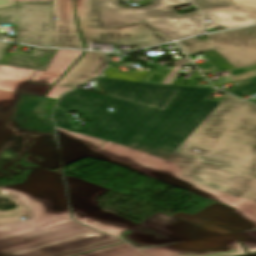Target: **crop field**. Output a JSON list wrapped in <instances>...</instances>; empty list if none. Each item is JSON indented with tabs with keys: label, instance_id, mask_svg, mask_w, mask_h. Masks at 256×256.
Returning <instances> with one entry per match:
<instances>
[{
	"label": "crop field",
	"instance_id": "39",
	"mask_svg": "<svg viewBox=\"0 0 256 256\" xmlns=\"http://www.w3.org/2000/svg\"><path fill=\"white\" fill-rule=\"evenodd\" d=\"M10 44L0 42V61L2 60L3 55L6 53Z\"/></svg>",
	"mask_w": 256,
	"mask_h": 256
},
{
	"label": "crop field",
	"instance_id": "1",
	"mask_svg": "<svg viewBox=\"0 0 256 256\" xmlns=\"http://www.w3.org/2000/svg\"><path fill=\"white\" fill-rule=\"evenodd\" d=\"M97 82L106 95L77 89L57 103L92 122L77 129L56 108V127L108 141L91 158L233 207L256 224V178L241 173L256 176V106L227 94L209 100L216 89L105 77Z\"/></svg>",
	"mask_w": 256,
	"mask_h": 256
},
{
	"label": "crop field",
	"instance_id": "33",
	"mask_svg": "<svg viewBox=\"0 0 256 256\" xmlns=\"http://www.w3.org/2000/svg\"><path fill=\"white\" fill-rule=\"evenodd\" d=\"M236 235L249 251V253H256V231L236 233Z\"/></svg>",
	"mask_w": 256,
	"mask_h": 256
},
{
	"label": "crop field",
	"instance_id": "5",
	"mask_svg": "<svg viewBox=\"0 0 256 256\" xmlns=\"http://www.w3.org/2000/svg\"><path fill=\"white\" fill-rule=\"evenodd\" d=\"M118 4V0L100 3L105 28L176 15L178 13L173 8L190 3L187 0H152L151 5L141 8L120 7Z\"/></svg>",
	"mask_w": 256,
	"mask_h": 256
},
{
	"label": "crop field",
	"instance_id": "6",
	"mask_svg": "<svg viewBox=\"0 0 256 256\" xmlns=\"http://www.w3.org/2000/svg\"><path fill=\"white\" fill-rule=\"evenodd\" d=\"M145 22L107 29H81V31L85 41L117 43V45L138 48L169 41Z\"/></svg>",
	"mask_w": 256,
	"mask_h": 256
},
{
	"label": "crop field",
	"instance_id": "41",
	"mask_svg": "<svg viewBox=\"0 0 256 256\" xmlns=\"http://www.w3.org/2000/svg\"><path fill=\"white\" fill-rule=\"evenodd\" d=\"M102 1H108V0H100V2H102Z\"/></svg>",
	"mask_w": 256,
	"mask_h": 256
},
{
	"label": "crop field",
	"instance_id": "24",
	"mask_svg": "<svg viewBox=\"0 0 256 256\" xmlns=\"http://www.w3.org/2000/svg\"><path fill=\"white\" fill-rule=\"evenodd\" d=\"M78 256H145L141 252L135 250L128 243L115 245L101 250L89 252Z\"/></svg>",
	"mask_w": 256,
	"mask_h": 256
},
{
	"label": "crop field",
	"instance_id": "20",
	"mask_svg": "<svg viewBox=\"0 0 256 256\" xmlns=\"http://www.w3.org/2000/svg\"><path fill=\"white\" fill-rule=\"evenodd\" d=\"M80 28H104L99 0H75Z\"/></svg>",
	"mask_w": 256,
	"mask_h": 256
},
{
	"label": "crop field",
	"instance_id": "9",
	"mask_svg": "<svg viewBox=\"0 0 256 256\" xmlns=\"http://www.w3.org/2000/svg\"><path fill=\"white\" fill-rule=\"evenodd\" d=\"M53 47L85 49L75 21L73 0H54Z\"/></svg>",
	"mask_w": 256,
	"mask_h": 256
},
{
	"label": "crop field",
	"instance_id": "18",
	"mask_svg": "<svg viewBox=\"0 0 256 256\" xmlns=\"http://www.w3.org/2000/svg\"><path fill=\"white\" fill-rule=\"evenodd\" d=\"M195 215L209 219L232 232L256 229V225L241 212L219 203Z\"/></svg>",
	"mask_w": 256,
	"mask_h": 256
},
{
	"label": "crop field",
	"instance_id": "11",
	"mask_svg": "<svg viewBox=\"0 0 256 256\" xmlns=\"http://www.w3.org/2000/svg\"><path fill=\"white\" fill-rule=\"evenodd\" d=\"M35 70L0 65V90L45 96L51 86L28 82Z\"/></svg>",
	"mask_w": 256,
	"mask_h": 256
},
{
	"label": "crop field",
	"instance_id": "34",
	"mask_svg": "<svg viewBox=\"0 0 256 256\" xmlns=\"http://www.w3.org/2000/svg\"><path fill=\"white\" fill-rule=\"evenodd\" d=\"M252 82L242 85L240 87L228 90L227 92L235 94L237 96L239 95H247L253 92H256V77L250 78ZM256 104V100L253 102Z\"/></svg>",
	"mask_w": 256,
	"mask_h": 256
},
{
	"label": "crop field",
	"instance_id": "8",
	"mask_svg": "<svg viewBox=\"0 0 256 256\" xmlns=\"http://www.w3.org/2000/svg\"><path fill=\"white\" fill-rule=\"evenodd\" d=\"M73 219L83 222L100 211L96 197L110 189L66 176Z\"/></svg>",
	"mask_w": 256,
	"mask_h": 256
},
{
	"label": "crop field",
	"instance_id": "23",
	"mask_svg": "<svg viewBox=\"0 0 256 256\" xmlns=\"http://www.w3.org/2000/svg\"><path fill=\"white\" fill-rule=\"evenodd\" d=\"M28 151L48 157L55 161L52 163L53 167L60 168L55 137L40 135Z\"/></svg>",
	"mask_w": 256,
	"mask_h": 256
},
{
	"label": "crop field",
	"instance_id": "21",
	"mask_svg": "<svg viewBox=\"0 0 256 256\" xmlns=\"http://www.w3.org/2000/svg\"><path fill=\"white\" fill-rule=\"evenodd\" d=\"M83 224L104 231L106 233L112 234L114 236L123 232L127 228L135 225L134 223L128 220L122 219L120 217L114 216L103 211L88 219Z\"/></svg>",
	"mask_w": 256,
	"mask_h": 256
},
{
	"label": "crop field",
	"instance_id": "27",
	"mask_svg": "<svg viewBox=\"0 0 256 256\" xmlns=\"http://www.w3.org/2000/svg\"><path fill=\"white\" fill-rule=\"evenodd\" d=\"M128 230L133 231L135 233H138L140 235H143L147 238H150V239L155 240L157 242H160L162 244L182 241L178 238H175V237H172L170 235L161 233L159 231L153 230L151 228L145 227V226L140 225V224H137V225L129 228Z\"/></svg>",
	"mask_w": 256,
	"mask_h": 256
},
{
	"label": "crop field",
	"instance_id": "13",
	"mask_svg": "<svg viewBox=\"0 0 256 256\" xmlns=\"http://www.w3.org/2000/svg\"><path fill=\"white\" fill-rule=\"evenodd\" d=\"M206 29L223 26L225 29L256 23V12L238 6L201 11ZM206 20H211L207 24Z\"/></svg>",
	"mask_w": 256,
	"mask_h": 256
},
{
	"label": "crop field",
	"instance_id": "37",
	"mask_svg": "<svg viewBox=\"0 0 256 256\" xmlns=\"http://www.w3.org/2000/svg\"><path fill=\"white\" fill-rule=\"evenodd\" d=\"M14 131V130H13ZM12 132L10 129H4L0 128V145L3 143V141L9 136V134Z\"/></svg>",
	"mask_w": 256,
	"mask_h": 256
},
{
	"label": "crop field",
	"instance_id": "7",
	"mask_svg": "<svg viewBox=\"0 0 256 256\" xmlns=\"http://www.w3.org/2000/svg\"><path fill=\"white\" fill-rule=\"evenodd\" d=\"M54 102L48 98L22 95L11 120L16 129L54 134L52 122L47 121Z\"/></svg>",
	"mask_w": 256,
	"mask_h": 256
},
{
	"label": "crop field",
	"instance_id": "29",
	"mask_svg": "<svg viewBox=\"0 0 256 256\" xmlns=\"http://www.w3.org/2000/svg\"><path fill=\"white\" fill-rule=\"evenodd\" d=\"M117 237L130 242L133 246L137 248H145L149 246L160 245V243L147 239L128 230L119 234Z\"/></svg>",
	"mask_w": 256,
	"mask_h": 256
},
{
	"label": "crop field",
	"instance_id": "32",
	"mask_svg": "<svg viewBox=\"0 0 256 256\" xmlns=\"http://www.w3.org/2000/svg\"><path fill=\"white\" fill-rule=\"evenodd\" d=\"M200 10L234 5L232 0H192Z\"/></svg>",
	"mask_w": 256,
	"mask_h": 256
},
{
	"label": "crop field",
	"instance_id": "12",
	"mask_svg": "<svg viewBox=\"0 0 256 256\" xmlns=\"http://www.w3.org/2000/svg\"><path fill=\"white\" fill-rule=\"evenodd\" d=\"M197 11L146 21L159 32L174 40L202 33L199 17H192Z\"/></svg>",
	"mask_w": 256,
	"mask_h": 256
},
{
	"label": "crop field",
	"instance_id": "26",
	"mask_svg": "<svg viewBox=\"0 0 256 256\" xmlns=\"http://www.w3.org/2000/svg\"><path fill=\"white\" fill-rule=\"evenodd\" d=\"M21 94L0 91V126L4 127Z\"/></svg>",
	"mask_w": 256,
	"mask_h": 256
},
{
	"label": "crop field",
	"instance_id": "42",
	"mask_svg": "<svg viewBox=\"0 0 256 256\" xmlns=\"http://www.w3.org/2000/svg\"><path fill=\"white\" fill-rule=\"evenodd\" d=\"M25 217V216H24ZM26 218V217H25ZM65 221H69V220H65Z\"/></svg>",
	"mask_w": 256,
	"mask_h": 256
},
{
	"label": "crop field",
	"instance_id": "17",
	"mask_svg": "<svg viewBox=\"0 0 256 256\" xmlns=\"http://www.w3.org/2000/svg\"><path fill=\"white\" fill-rule=\"evenodd\" d=\"M115 239L98 231L80 235L56 243L48 244L31 250L23 251L9 256H51L84 246Z\"/></svg>",
	"mask_w": 256,
	"mask_h": 256
},
{
	"label": "crop field",
	"instance_id": "3",
	"mask_svg": "<svg viewBox=\"0 0 256 256\" xmlns=\"http://www.w3.org/2000/svg\"><path fill=\"white\" fill-rule=\"evenodd\" d=\"M206 37L177 43L187 55L215 50L235 68L256 64V26Z\"/></svg>",
	"mask_w": 256,
	"mask_h": 256
},
{
	"label": "crop field",
	"instance_id": "36",
	"mask_svg": "<svg viewBox=\"0 0 256 256\" xmlns=\"http://www.w3.org/2000/svg\"><path fill=\"white\" fill-rule=\"evenodd\" d=\"M235 5L256 11V0H233Z\"/></svg>",
	"mask_w": 256,
	"mask_h": 256
},
{
	"label": "crop field",
	"instance_id": "4",
	"mask_svg": "<svg viewBox=\"0 0 256 256\" xmlns=\"http://www.w3.org/2000/svg\"><path fill=\"white\" fill-rule=\"evenodd\" d=\"M0 9V23L17 26V42L52 47L53 2L17 3ZM7 15H11L7 18ZM3 40V37L0 36Z\"/></svg>",
	"mask_w": 256,
	"mask_h": 256
},
{
	"label": "crop field",
	"instance_id": "16",
	"mask_svg": "<svg viewBox=\"0 0 256 256\" xmlns=\"http://www.w3.org/2000/svg\"><path fill=\"white\" fill-rule=\"evenodd\" d=\"M140 224L162 231L183 240L216 235L215 233L183 223L159 212L142 221Z\"/></svg>",
	"mask_w": 256,
	"mask_h": 256
},
{
	"label": "crop field",
	"instance_id": "19",
	"mask_svg": "<svg viewBox=\"0 0 256 256\" xmlns=\"http://www.w3.org/2000/svg\"><path fill=\"white\" fill-rule=\"evenodd\" d=\"M82 52L58 50L45 71L36 70L30 81L53 85Z\"/></svg>",
	"mask_w": 256,
	"mask_h": 256
},
{
	"label": "crop field",
	"instance_id": "38",
	"mask_svg": "<svg viewBox=\"0 0 256 256\" xmlns=\"http://www.w3.org/2000/svg\"><path fill=\"white\" fill-rule=\"evenodd\" d=\"M17 5L14 0H0V8Z\"/></svg>",
	"mask_w": 256,
	"mask_h": 256
},
{
	"label": "crop field",
	"instance_id": "2",
	"mask_svg": "<svg viewBox=\"0 0 256 256\" xmlns=\"http://www.w3.org/2000/svg\"><path fill=\"white\" fill-rule=\"evenodd\" d=\"M4 189L7 194L1 192ZM0 198L13 201L15 210L0 211V256H6L80 234L95 231L70 219L61 174L33 167L22 184L0 187Z\"/></svg>",
	"mask_w": 256,
	"mask_h": 256
},
{
	"label": "crop field",
	"instance_id": "35",
	"mask_svg": "<svg viewBox=\"0 0 256 256\" xmlns=\"http://www.w3.org/2000/svg\"><path fill=\"white\" fill-rule=\"evenodd\" d=\"M69 90H71V89L70 88L54 86L51 89V91L49 92V94L47 95V97L48 98L58 99L60 95L68 92Z\"/></svg>",
	"mask_w": 256,
	"mask_h": 256
},
{
	"label": "crop field",
	"instance_id": "31",
	"mask_svg": "<svg viewBox=\"0 0 256 256\" xmlns=\"http://www.w3.org/2000/svg\"><path fill=\"white\" fill-rule=\"evenodd\" d=\"M204 54L211 61V63L216 67L218 71H224V70H229L234 68L215 51L206 52ZM218 71H215V72H218Z\"/></svg>",
	"mask_w": 256,
	"mask_h": 256
},
{
	"label": "crop field",
	"instance_id": "40",
	"mask_svg": "<svg viewBox=\"0 0 256 256\" xmlns=\"http://www.w3.org/2000/svg\"><path fill=\"white\" fill-rule=\"evenodd\" d=\"M34 1H53V0H15V2H34Z\"/></svg>",
	"mask_w": 256,
	"mask_h": 256
},
{
	"label": "crop field",
	"instance_id": "14",
	"mask_svg": "<svg viewBox=\"0 0 256 256\" xmlns=\"http://www.w3.org/2000/svg\"><path fill=\"white\" fill-rule=\"evenodd\" d=\"M57 130L64 166L87 156L105 142L67 130Z\"/></svg>",
	"mask_w": 256,
	"mask_h": 256
},
{
	"label": "crop field",
	"instance_id": "30",
	"mask_svg": "<svg viewBox=\"0 0 256 256\" xmlns=\"http://www.w3.org/2000/svg\"><path fill=\"white\" fill-rule=\"evenodd\" d=\"M119 243H123V242L118 240V239H115V240L103 242V243H100V244L84 247V248H81V249L69 251V252L54 255V256H73V255L89 252V251H92V250L108 247V246L119 244Z\"/></svg>",
	"mask_w": 256,
	"mask_h": 256
},
{
	"label": "crop field",
	"instance_id": "28",
	"mask_svg": "<svg viewBox=\"0 0 256 256\" xmlns=\"http://www.w3.org/2000/svg\"><path fill=\"white\" fill-rule=\"evenodd\" d=\"M176 218H179L183 221H186V222H189L191 224H194V225H197V226H200L202 228H205L207 230H210V231H213V232H216V233H219V234H223V233H229L228 231L204 220V219H201V218H198V217H195V216H191V215H188V214H185V213H182V212H178L174 215H172Z\"/></svg>",
	"mask_w": 256,
	"mask_h": 256
},
{
	"label": "crop field",
	"instance_id": "22",
	"mask_svg": "<svg viewBox=\"0 0 256 256\" xmlns=\"http://www.w3.org/2000/svg\"><path fill=\"white\" fill-rule=\"evenodd\" d=\"M57 50L32 49L30 55H14L9 65L45 70Z\"/></svg>",
	"mask_w": 256,
	"mask_h": 256
},
{
	"label": "crop field",
	"instance_id": "15",
	"mask_svg": "<svg viewBox=\"0 0 256 256\" xmlns=\"http://www.w3.org/2000/svg\"><path fill=\"white\" fill-rule=\"evenodd\" d=\"M183 244L195 256H233L246 254L233 234Z\"/></svg>",
	"mask_w": 256,
	"mask_h": 256
},
{
	"label": "crop field",
	"instance_id": "10",
	"mask_svg": "<svg viewBox=\"0 0 256 256\" xmlns=\"http://www.w3.org/2000/svg\"><path fill=\"white\" fill-rule=\"evenodd\" d=\"M105 67L104 53L86 52L56 85L75 88L100 75Z\"/></svg>",
	"mask_w": 256,
	"mask_h": 256
},
{
	"label": "crop field",
	"instance_id": "25",
	"mask_svg": "<svg viewBox=\"0 0 256 256\" xmlns=\"http://www.w3.org/2000/svg\"><path fill=\"white\" fill-rule=\"evenodd\" d=\"M148 256H194L182 243L140 250Z\"/></svg>",
	"mask_w": 256,
	"mask_h": 256
}]
</instances>
